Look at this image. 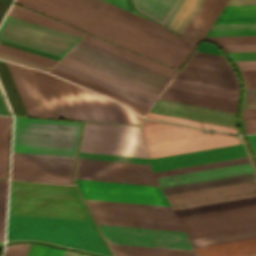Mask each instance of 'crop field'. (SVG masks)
I'll return each instance as SVG.
<instances>
[{"instance_id":"e1d0b9f6","label":"crop field","mask_w":256,"mask_h":256,"mask_svg":"<svg viewBox=\"0 0 256 256\" xmlns=\"http://www.w3.org/2000/svg\"><path fill=\"white\" fill-rule=\"evenodd\" d=\"M78 255H79V254L71 253V252L65 251L63 256H78Z\"/></svg>"},{"instance_id":"5d738f31","label":"crop field","mask_w":256,"mask_h":256,"mask_svg":"<svg viewBox=\"0 0 256 256\" xmlns=\"http://www.w3.org/2000/svg\"><path fill=\"white\" fill-rule=\"evenodd\" d=\"M7 181L0 180V241H3Z\"/></svg>"},{"instance_id":"d8731c3e","label":"crop field","mask_w":256,"mask_h":256,"mask_svg":"<svg viewBox=\"0 0 256 256\" xmlns=\"http://www.w3.org/2000/svg\"><path fill=\"white\" fill-rule=\"evenodd\" d=\"M97 224L183 231L170 207L85 199Z\"/></svg>"},{"instance_id":"25e5ab78","label":"crop field","mask_w":256,"mask_h":256,"mask_svg":"<svg viewBox=\"0 0 256 256\" xmlns=\"http://www.w3.org/2000/svg\"><path fill=\"white\" fill-rule=\"evenodd\" d=\"M28 245L29 244L7 246L4 256H25Z\"/></svg>"},{"instance_id":"db79e9e6","label":"crop field","mask_w":256,"mask_h":256,"mask_svg":"<svg viewBox=\"0 0 256 256\" xmlns=\"http://www.w3.org/2000/svg\"><path fill=\"white\" fill-rule=\"evenodd\" d=\"M0 114L9 115L8 112H7V109L5 107V104L3 102L1 94H0Z\"/></svg>"},{"instance_id":"d1516ede","label":"crop field","mask_w":256,"mask_h":256,"mask_svg":"<svg viewBox=\"0 0 256 256\" xmlns=\"http://www.w3.org/2000/svg\"><path fill=\"white\" fill-rule=\"evenodd\" d=\"M190 239L256 227V205L178 218Z\"/></svg>"},{"instance_id":"ae1a2a85","label":"crop field","mask_w":256,"mask_h":256,"mask_svg":"<svg viewBox=\"0 0 256 256\" xmlns=\"http://www.w3.org/2000/svg\"><path fill=\"white\" fill-rule=\"evenodd\" d=\"M54 68L151 107L153 101L58 62Z\"/></svg>"},{"instance_id":"dd49c442","label":"crop field","mask_w":256,"mask_h":256,"mask_svg":"<svg viewBox=\"0 0 256 256\" xmlns=\"http://www.w3.org/2000/svg\"><path fill=\"white\" fill-rule=\"evenodd\" d=\"M99 227L107 243L194 251L185 232L105 225ZM113 244L109 246L114 256H197L190 251Z\"/></svg>"},{"instance_id":"425ffa30","label":"crop field","mask_w":256,"mask_h":256,"mask_svg":"<svg viewBox=\"0 0 256 256\" xmlns=\"http://www.w3.org/2000/svg\"><path fill=\"white\" fill-rule=\"evenodd\" d=\"M0 59L15 62V63H18V64L26 65V66L33 67V68L40 69V70H44V71H47L50 68V67H46V66H43V65H39V64H36V63L29 62V61H25V60H22V59H18V58H15V57H11V56H8V55H4V54H1V53H0Z\"/></svg>"},{"instance_id":"92a150f3","label":"crop field","mask_w":256,"mask_h":256,"mask_svg":"<svg viewBox=\"0 0 256 256\" xmlns=\"http://www.w3.org/2000/svg\"><path fill=\"white\" fill-rule=\"evenodd\" d=\"M72 1L82 4L86 7H89L93 10L101 12L110 17H113L122 22H125L129 25L136 27V28L144 30L148 33L156 35L160 38H163L167 41L175 43L179 46L187 48L191 51H193V49L199 43V41H196V40L184 39L180 36L174 35V34L170 33L169 31H167L165 28L159 26L158 24H156L148 19H145L141 16L133 14L129 11L121 9L117 6L109 4L102 0H72Z\"/></svg>"},{"instance_id":"4a817a6b","label":"crop field","mask_w":256,"mask_h":256,"mask_svg":"<svg viewBox=\"0 0 256 256\" xmlns=\"http://www.w3.org/2000/svg\"><path fill=\"white\" fill-rule=\"evenodd\" d=\"M75 178L157 186L149 165L78 158Z\"/></svg>"},{"instance_id":"d3111659","label":"crop field","mask_w":256,"mask_h":256,"mask_svg":"<svg viewBox=\"0 0 256 256\" xmlns=\"http://www.w3.org/2000/svg\"><path fill=\"white\" fill-rule=\"evenodd\" d=\"M141 0H131L134 8ZM178 0H143L136 11L163 25Z\"/></svg>"},{"instance_id":"ac0d7876","label":"crop field","mask_w":256,"mask_h":256,"mask_svg":"<svg viewBox=\"0 0 256 256\" xmlns=\"http://www.w3.org/2000/svg\"><path fill=\"white\" fill-rule=\"evenodd\" d=\"M37 239L109 255L93 222L9 214L7 240Z\"/></svg>"},{"instance_id":"750c4746","label":"crop field","mask_w":256,"mask_h":256,"mask_svg":"<svg viewBox=\"0 0 256 256\" xmlns=\"http://www.w3.org/2000/svg\"><path fill=\"white\" fill-rule=\"evenodd\" d=\"M49 73L54 74V75H56V76H58V77H61V78H63V79H66V80H68V81H71V82H73V83H75V84H78V85H80V86H83V87H85V88H87V89H90V90H92V91H95V92H97V93H100V94H102V95H104V96H107V97H109V98H112V99H114V100H116V101H118V102H120V103H122V104L128 106L129 108H131L132 110L136 111L137 113H139V114H141V115H145L146 111L149 109V107H147V106H144V105L139 104V103H137V102H135V101H132V100H130V99H127V98H125V97H122V96H120V95H117V94H115V93H113V92H110V91H108V90H105V89H103V88H100V87H98V86H95V85H93V84H90V83H88V82H86V81H83V80H81V79H78V78H76V77H73V76H71V75H68V74H66V73H64V72H61V71H59V70H56V69H54V68H52V69L49 71Z\"/></svg>"},{"instance_id":"1d79db26","label":"crop field","mask_w":256,"mask_h":256,"mask_svg":"<svg viewBox=\"0 0 256 256\" xmlns=\"http://www.w3.org/2000/svg\"><path fill=\"white\" fill-rule=\"evenodd\" d=\"M245 133H256V121H244Z\"/></svg>"},{"instance_id":"214f88e0","label":"crop field","mask_w":256,"mask_h":256,"mask_svg":"<svg viewBox=\"0 0 256 256\" xmlns=\"http://www.w3.org/2000/svg\"><path fill=\"white\" fill-rule=\"evenodd\" d=\"M254 195H256V180L166 195L165 198L172 209H176Z\"/></svg>"},{"instance_id":"73cf0c24","label":"crop field","mask_w":256,"mask_h":256,"mask_svg":"<svg viewBox=\"0 0 256 256\" xmlns=\"http://www.w3.org/2000/svg\"><path fill=\"white\" fill-rule=\"evenodd\" d=\"M245 88H256V71H240Z\"/></svg>"},{"instance_id":"5866460e","label":"crop field","mask_w":256,"mask_h":256,"mask_svg":"<svg viewBox=\"0 0 256 256\" xmlns=\"http://www.w3.org/2000/svg\"><path fill=\"white\" fill-rule=\"evenodd\" d=\"M256 21V5L225 6L215 22Z\"/></svg>"},{"instance_id":"0bd39190","label":"crop field","mask_w":256,"mask_h":256,"mask_svg":"<svg viewBox=\"0 0 256 256\" xmlns=\"http://www.w3.org/2000/svg\"><path fill=\"white\" fill-rule=\"evenodd\" d=\"M6 64L8 66V69H9L10 73H11V76H12V78L14 80V83H15L17 89H18V92H19V94L21 96V99H22V101L24 103V106H25V108L27 110L28 115L29 116H37V117H39L37 112H36V109L34 107V104H33L32 100H31V97H30V95L28 93V90H27V88L25 86V83L23 81V78H22V76L20 74V71H19L17 65L11 64V63H8V62H6Z\"/></svg>"},{"instance_id":"e1f06a70","label":"crop field","mask_w":256,"mask_h":256,"mask_svg":"<svg viewBox=\"0 0 256 256\" xmlns=\"http://www.w3.org/2000/svg\"><path fill=\"white\" fill-rule=\"evenodd\" d=\"M19 68L21 70V73H22L23 78L26 82V85L29 89V92L32 96V99L34 101V104L37 108V111H38L39 115L40 116H45V117H51L49 112H48V109L45 105V102L42 98V95L39 91V88L36 84V81L33 77V74L31 72V70L29 68L22 67V66H19Z\"/></svg>"},{"instance_id":"5a996713","label":"crop field","mask_w":256,"mask_h":256,"mask_svg":"<svg viewBox=\"0 0 256 256\" xmlns=\"http://www.w3.org/2000/svg\"><path fill=\"white\" fill-rule=\"evenodd\" d=\"M84 152L147 158L139 126L85 122Z\"/></svg>"},{"instance_id":"03da06ac","label":"crop field","mask_w":256,"mask_h":256,"mask_svg":"<svg viewBox=\"0 0 256 256\" xmlns=\"http://www.w3.org/2000/svg\"><path fill=\"white\" fill-rule=\"evenodd\" d=\"M145 117L237 133L236 128L148 113Z\"/></svg>"},{"instance_id":"c21b1889","label":"crop field","mask_w":256,"mask_h":256,"mask_svg":"<svg viewBox=\"0 0 256 256\" xmlns=\"http://www.w3.org/2000/svg\"><path fill=\"white\" fill-rule=\"evenodd\" d=\"M197 254H198V256H246V255H252V254H256V243L242 245V246H236V247H230V248H224V249H218V250H212V251H206V252H200Z\"/></svg>"},{"instance_id":"730fd06b","label":"crop field","mask_w":256,"mask_h":256,"mask_svg":"<svg viewBox=\"0 0 256 256\" xmlns=\"http://www.w3.org/2000/svg\"><path fill=\"white\" fill-rule=\"evenodd\" d=\"M60 62L65 63V64H67V65H69V66H72V67H74V68H77V69H79V70H81V71H84V72H86V73H89V74H91V75H93V76H96V77H98V78H101V79H103V80H105V81H108V82H110V83H113V84H115V85H117V86H120V87H122V88H125V89H127V90H129V91H132V92H134V93H137V94H139V95H141V96H144V97H146V98H149V99H151V100H153V101H155V99L158 97V94H156V93H153V92H151V91H149V90H146V89H144V88H141V87H139V86H136V85H134V84H131V83L127 82V81H124V80H122V79H119V78H117V77H114V76H112V75H110V74H107V73H105V72H102V71H100V70H97V69H95V68H93V67H90V66H88V65H85V64L80 63V62H78V61H75V60H73V59H71V58H68V57H66V56H64V57L60 60Z\"/></svg>"},{"instance_id":"dbb93151","label":"crop field","mask_w":256,"mask_h":256,"mask_svg":"<svg viewBox=\"0 0 256 256\" xmlns=\"http://www.w3.org/2000/svg\"><path fill=\"white\" fill-rule=\"evenodd\" d=\"M239 70H256V61L235 62Z\"/></svg>"},{"instance_id":"0fb4a251","label":"crop field","mask_w":256,"mask_h":256,"mask_svg":"<svg viewBox=\"0 0 256 256\" xmlns=\"http://www.w3.org/2000/svg\"><path fill=\"white\" fill-rule=\"evenodd\" d=\"M124 9L131 11L133 9L129 0H105Z\"/></svg>"},{"instance_id":"0765c3eb","label":"crop field","mask_w":256,"mask_h":256,"mask_svg":"<svg viewBox=\"0 0 256 256\" xmlns=\"http://www.w3.org/2000/svg\"><path fill=\"white\" fill-rule=\"evenodd\" d=\"M256 4V0H228L226 5Z\"/></svg>"},{"instance_id":"e52e79f7","label":"crop field","mask_w":256,"mask_h":256,"mask_svg":"<svg viewBox=\"0 0 256 256\" xmlns=\"http://www.w3.org/2000/svg\"><path fill=\"white\" fill-rule=\"evenodd\" d=\"M131 83L160 94L171 77L80 40L67 54Z\"/></svg>"},{"instance_id":"89e229c0","label":"crop field","mask_w":256,"mask_h":256,"mask_svg":"<svg viewBox=\"0 0 256 256\" xmlns=\"http://www.w3.org/2000/svg\"><path fill=\"white\" fill-rule=\"evenodd\" d=\"M243 108H256V89H246Z\"/></svg>"},{"instance_id":"d23c7cc5","label":"crop field","mask_w":256,"mask_h":256,"mask_svg":"<svg viewBox=\"0 0 256 256\" xmlns=\"http://www.w3.org/2000/svg\"><path fill=\"white\" fill-rule=\"evenodd\" d=\"M51 247L30 244L26 256H50Z\"/></svg>"},{"instance_id":"733c2abd","label":"crop field","mask_w":256,"mask_h":256,"mask_svg":"<svg viewBox=\"0 0 256 256\" xmlns=\"http://www.w3.org/2000/svg\"><path fill=\"white\" fill-rule=\"evenodd\" d=\"M174 79L238 91V80L220 55L194 51Z\"/></svg>"},{"instance_id":"00972430","label":"crop field","mask_w":256,"mask_h":256,"mask_svg":"<svg viewBox=\"0 0 256 256\" xmlns=\"http://www.w3.org/2000/svg\"><path fill=\"white\" fill-rule=\"evenodd\" d=\"M159 99L233 113H235V106L237 101L235 99H229L169 87L164 90Z\"/></svg>"},{"instance_id":"d32e631a","label":"crop field","mask_w":256,"mask_h":256,"mask_svg":"<svg viewBox=\"0 0 256 256\" xmlns=\"http://www.w3.org/2000/svg\"><path fill=\"white\" fill-rule=\"evenodd\" d=\"M256 35V22L214 23L205 36Z\"/></svg>"},{"instance_id":"8a807250","label":"crop field","mask_w":256,"mask_h":256,"mask_svg":"<svg viewBox=\"0 0 256 256\" xmlns=\"http://www.w3.org/2000/svg\"><path fill=\"white\" fill-rule=\"evenodd\" d=\"M15 3L94 34L139 54L179 68L191 51L70 0H15Z\"/></svg>"},{"instance_id":"dafd665d","label":"crop field","mask_w":256,"mask_h":256,"mask_svg":"<svg viewBox=\"0 0 256 256\" xmlns=\"http://www.w3.org/2000/svg\"><path fill=\"white\" fill-rule=\"evenodd\" d=\"M151 113L236 127L235 114L158 100Z\"/></svg>"},{"instance_id":"d14b1444","label":"crop field","mask_w":256,"mask_h":256,"mask_svg":"<svg viewBox=\"0 0 256 256\" xmlns=\"http://www.w3.org/2000/svg\"><path fill=\"white\" fill-rule=\"evenodd\" d=\"M252 256H256V255H252Z\"/></svg>"},{"instance_id":"78b8030e","label":"crop field","mask_w":256,"mask_h":256,"mask_svg":"<svg viewBox=\"0 0 256 256\" xmlns=\"http://www.w3.org/2000/svg\"><path fill=\"white\" fill-rule=\"evenodd\" d=\"M63 252H64L63 250H59V249L54 248L51 256H62Z\"/></svg>"},{"instance_id":"bd1437ed","label":"crop field","mask_w":256,"mask_h":256,"mask_svg":"<svg viewBox=\"0 0 256 256\" xmlns=\"http://www.w3.org/2000/svg\"><path fill=\"white\" fill-rule=\"evenodd\" d=\"M8 16L23 19V20H26V21H30V22L37 23V24H40V25L48 26V27H51V28H55V29H58V30L65 31V32L73 33V34H76V35H80V36L84 35V33L80 32V31L72 29L68 26H65L61 23L53 21L49 18H46L42 15L34 13L30 10H27V9L22 8L20 6H17L15 4H13L11 10L8 13Z\"/></svg>"},{"instance_id":"3316defc","label":"crop field","mask_w":256,"mask_h":256,"mask_svg":"<svg viewBox=\"0 0 256 256\" xmlns=\"http://www.w3.org/2000/svg\"><path fill=\"white\" fill-rule=\"evenodd\" d=\"M57 80L75 119L139 124L143 118L106 97L62 79Z\"/></svg>"},{"instance_id":"028f5c9d","label":"crop field","mask_w":256,"mask_h":256,"mask_svg":"<svg viewBox=\"0 0 256 256\" xmlns=\"http://www.w3.org/2000/svg\"><path fill=\"white\" fill-rule=\"evenodd\" d=\"M251 204H256V196L227 201V202L209 204L204 206L192 207L187 209L175 210L174 212L176 216L179 217V216H185V215H191V214H197V213H203V212H209V211H215V210H221V209H227V208H233V207H239V206H245V205H251Z\"/></svg>"},{"instance_id":"22f410ed","label":"crop field","mask_w":256,"mask_h":256,"mask_svg":"<svg viewBox=\"0 0 256 256\" xmlns=\"http://www.w3.org/2000/svg\"><path fill=\"white\" fill-rule=\"evenodd\" d=\"M226 2L179 0L163 26L185 37L202 39Z\"/></svg>"},{"instance_id":"447ae74e","label":"crop field","mask_w":256,"mask_h":256,"mask_svg":"<svg viewBox=\"0 0 256 256\" xmlns=\"http://www.w3.org/2000/svg\"><path fill=\"white\" fill-rule=\"evenodd\" d=\"M12 0H0V21Z\"/></svg>"},{"instance_id":"eef30255","label":"crop field","mask_w":256,"mask_h":256,"mask_svg":"<svg viewBox=\"0 0 256 256\" xmlns=\"http://www.w3.org/2000/svg\"><path fill=\"white\" fill-rule=\"evenodd\" d=\"M82 40L87 41V42H89V43H91V44H94V45H96V46H99V47H101V48H104V49H106V50H108V51H111V52H113V53H116V54H118V55H120V56H123V57H125V58H128V59H130V60H133V61H135V62H137V63H140V64H142V65H145V66H147V67H150V68H152V69H154V70H157V71H159V72H162V73H164V74H166V75H169V76H171V77H173L174 73L176 72V70H174V69H171V68H168V67H166V66H163V65H160V64H158V63H155V62H153V61H150V60H148V59H146V58H143V57L138 56V55H136V54H134V53H131V52H129V51H126V50H124V49H121V48H119V47H117V46H114V45H112V44H109V43H107V42H105V41H102V40H100V39H97V38H95V37H93V36H90V35H88V34H86V35L82 38Z\"/></svg>"},{"instance_id":"28ad6ade","label":"crop field","mask_w":256,"mask_h":256,"mask_svg":"<svg viewBox=\"0 0 256 256\" xmlns=\"http://www.w3.org/2000/svg\"><path fill=\"white\" fill-rule=\"evenodd\" d=\"M80 36L6 16L0 39L62 57Z\"/></svg>"},{"instance_id":"9d1cf04e","label":"crop field","mask_w":256,"mask_h":256,"mask_svg":"<svg viewBox=\"0 0 256 256\" xmlns=\"http://www.w3.org/2000/svg\"><path fill=\"white\" fill-rule=\"evenodd\" d=\"M256 159V135H245Z\"/></svg>"},{"instance_id":"a9b5d70f","label":"crop field","mask_w":256,"mask_h":256,"mask_svg":"<svg viewBox=\"0 0 256 256\" xmlns=\"http://www.w3.org/2000/svg\"><path fill=\"white\" fill-rule=\"evenodd\" d=\"M52 117L74 119L56 78L31 69Z\"/></svg>"},{"instance_id":"4177f3b9","label":"crop field","mask_w":256,"mask_h":256,"mask_svg":"<svg viewBox=\"0 0 256 256\" xmlns=\"http://www.w3.org/2000/svg\"><path fill=\"white\" fill-rule=\"evenodd\" d=\"M196 252L256 242V228L191 240Z\"/></svg>"},{"instance_id":"34b2d1b8","label":"crop field","mask_w":256,"mask_h":256,"mask_svg":"<svg viewBox=\"0 0 256 256\" xmlns=\"http://www.w3.org/2000/svg\"><path fill=\"white\" fill-rule=\"evenodd\" d=\"M9 213L91 221L74 187L11 182Z\"/></svg>"},{"instance_id":"cbeb9de0","label":"crop field","mask_w":256,"mask_h":256,"mask_svg":"<svg viewBox=\"0 0 256 256\" xmlns=\"http://www.w3.org/2000/svg\"><path fill=\"white\" fill-rule=\"evenodd\" d=\"M183 179L185 181H183ZM256 179L249 163L157 178L163 195ZM172 182V183H170Z\"/></svg>"},{"instance_id":"b54c1fbb","label":"crop field","mask_w":256,"mask_h":256,"mask_svg":"<svg viewBox=\"0 0 256 256\" xmlns=\"http://www.w3.org/2000/svg\"><path fill=\"white\" fill-rule=\"evenodd\" d=\"M0 52L6 53V54H9V55H13V56H16V57H20V58H23V59H26V60H30V61H33V62H36V63H40V64H43V65H46V66H50V67H52L57 62V60H53V59H50V58H46V57H43V56H39V55H36V54H32V53H29V52H25V51L15 49V48H12V47H8V46H5V45H1V44H0Z\"/></svg>"},{"instance_id":"b80d0937","label":"crop field","mask_w":256,"mask_h":256,"mask_svg":"<svg viewBox=\"0 0 256 256\" xmlns=\"http://www.w3.org/2000/svg\"><path fill=\"white\" fill-rule=\"evenodd\" d=\"M168 86L180 88V89L191 90V91L202 92V93H207V94H213V95H218V96H224V97H229V98H235V99H237V95H238V92H236V91L220 89V88L205 86V85H201V84L176 81V80H172Z\"/></svg>"},{"instance_id":"1f2cbd36","label":"crop field","mask_w":256,"mask_h":256,"mask_svg":"<svg viewBox=\"0 0 256 256\" xmlns=\"http://www.w3.org/2000/svg\"><path fill=\"white\" fill-rule=\"evenodd\" d=\"M233 61L256 60V52L227 53Z\"/></svg>"},{"instance_id":"5142ce71","label":"crop field","mask_w":256,"mask_h":256,"mask_svg":"<svg viewBox=\"0 0 256 256\" xmlns=\"http://www.w3.org/2000/svg\"><path fill=\"white\" fill-rule=\"evenodd\" d=\"M74 160L13 153L11 179L71 184Z\"/></svg>"},{"instance_id":"bc2a9ffb","label":"crop field","mask_w":256,"mask_h":256,"mask_svg":"<svg viewBox=\"0 0 256 256\" xmlns=\"http://www.w3.org/2000/svg\"><path fill=\"white\" fill-rule=\"evenodd\" d=\"M83 198L169 206L158 187L75 179Z\"/></svg>"},{"instance_id":"7b73153f","label":"crop field","mask_w":256,"mask_h":256,"mask_svg":"<svg viewBox=\"0 0 256 256\" xmlns=\"http://www.w3.org/2000/svg\"><path fill=\"white\" fill-rule=\"evenodd\" d=\"M242 115H256V109H243Z\"/></svg>"},{"instance_id":"412701ff","label":"crop field","mask_w":256,"mask_h":256,"mask_svg":"<svg viewBox=\"0 0 256 256\" xmlns=\"http://www.w3.org/2000/svg\"><path fill=\"white\" fill-rule=\"evenodd\" d=\"M80 122L15 117L13 152L75 158Z\"/></svg>"},{"instance_id":"120bbe31","label":"crop field","mask_w":256,"mask_h":256,"mask_svg":"<svg viewBox=\"0 0 256 256\" xmlns=\"http://www.w3.org/2000/svg\"><path fill=\"white\" fill-rule=\"evenodd\" d=\"M0 81L15 115L28 116L4 61L0 60Z\"/></svg>"},{"instance_id":"f4fd0767","label":"crop field","mask_w":256,"mask_h":256,"mask_svg":"<svg viewBox=\"0 0 256 256\" xmlns=\"http://www.w3.org/2000/svg\"><path fill=\"white\" fill-rule=\"evenodd\" d=\"M140 128L149 159L241 143L237 136L146 118L143 119ZM202 131H205V134Z\"/></svg>"},{"instance_id":"1d83c4d3","label":"crop field","mask_w":256,"mask_h":256,"mask_svg":"<svg viewBox=\"0 0 256 256\" xmlns=\"http://www.w3.org/2000/svg\"><path fill=\"white\" fill-rule=\"evenodd\" d=\"M219 44L225 52L256 51V36L205 37Z\"/></svg>"},{"instance_id":"c035e120","label":"crop field","mask_w":256,"mask_h":256,"mask_svg":"<svg viewBox=\"0 0 256 256\" xmlns=\"http://www.w3.org/2000/svg\"><path fill=\"white\" fill-rule=\"evenodd\" d=\"M10 117H0V177L6 178Z\"/></svg>"},{"instance_id":"d9b57169","label":"crop field","mask_w":256,"mask_h":256,"mask_svg":"<svg viewBox=\"0 0 256 256\" xmlns=\"http://www.w3.org/2000/svg\"><path fill=\"white\" fill-rule=\"evenodd\" d=\"M247 156L242 145H233L210 150L180 154L175 156L157 158V159H143L123 156H113L104 154L84 153L80 152L79 157L134 162L150 164L152 172L245 157Z\"/></svg>"},{"instance_id":"ae633e8c","label":"crop field","mask_w":256,"mask_h":256,"mask_svg":"<svg viewBox=\"0 0 256 256\" xmlns=\"http://www.w3.org/2000/svg\"><path fill=\"white\" fill-rule=\"evenodd\" d=\"M79 256H86V255H82V254H80Z\"/></svg>"},{"instance_id":"0f1d7ab4","label":"crop field","mask_w":256,"mask_h":256,"mask_svg":"<svg viewBox=\"0 0 256 256\" xmlns=\"http://www.w3.org/2000/svg\"><path fill=\"white\" fill-rule=\"evenodd\" d=\"M242 120H256V116H242Z\"/></svg>"}]
</instances>
